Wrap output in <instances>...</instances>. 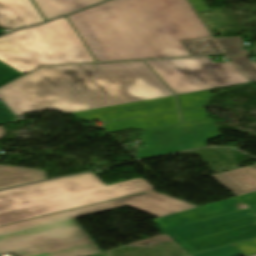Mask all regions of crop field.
<instances>
[{
  "label": "crop field",
  "mask_w": 256,
  "mask_h": 256,
  "mask_svg": "<svg viewBox=\"0 0 256 256\" xmlns=\"http://www.w3.org/2000/svg\"><path fill=\"white\" fill-rule=\"evenodd\" d=\"M68 19L97 61L189 56L180 41L211 36L187 0H111Z\"/></svg>",
  "instance_id": "crop-field-1"
},
{
  "label": "crop field",
  "mask_w": 256,
  "mask_h": 256,
  "mask_svg": "<svg viewBox=\"0 0 256 256\" xmlns=\"http://www.w3.org/2000/svg\"><path fill=\"white\" fill-rule=\"evenodd\" d=\"M174 95L143 62L43 67L0 89L16 116L64 113Z\"/></svg>",
  "instance_id": "crop-field-2"
},
{
  "label": "crop field",
  "mask_w": 256,
  "mask_h": 256,
  "mask_svg": "<svg viewBox=\"0 0 256 256\" xmlns=\"http://www.w3.org/2000/svg\"><path fill=\"white\" fill-rule=\"evenodd\" d=\"M129 206L164 217L197 206L154 191L0 227V255L86 256L100 252L74 218Z\"/></svg>",
  "instance_id": "crop-field-3"
},
{
  "label": "crop field",
  "mask_w": 256,
  "mask_h": 256,
  "mask_svg": "<svg viewBox=\"0 0 256 256\" xmlns=\"http://www.w3.org/2000/svg\"><path fill=\"white\" fill-rule=\"evenodd\" d=\"M146 182L105 186L89 172L0 191V226L153 190Z\"/></svg>",
  "instance_id": "crop-field-4"
},
{
  "label": "crop field",
  "mask_w": 256,
  "mask_h": 256,
  "mask_svg": "<svg viewBox=\"0 0 256 256\" xmlns=\"http://www.w3.org/2000/svg\"><path fill=\"white\" fill-rule=\"evenodd\" d=\"M0 60L24 74L46 64L94 62L65 17L0 37Z\"/></svg>",
  "instance_id": "crop-field-5"
},
{
  "label": "crop field",
  "mask_w": 256,
  "mask_h": 256,
  "mask_svg": "<svg viewBox=\"0 0 256 256\" xmlns=\"http://www.w3.org/2000/svg\"><path fill=\"white\" fill-rule=\"evenodd\" d=\"M146 62L176 94L249 82L232 62L214 63L208 57Z\"/></svg>",
  "instance_id": "crop-field-6"
},
{
  "label": "crop field",
  "mask_w": 256,
  "mask_h": 256,
  "mask_svg": "<svg viewBox=\"0 0 256 256\" xmlns=\"http://www.w3.org/2000/svg\"><path fill=\"white\" fill-rule=\"evenodd\" d=\"M178 109L175 96L141 101L117 106H111L102 109L89 110L83 112L71 113L81 121L101 119L102 122L176 110Z\"/></svg>",
  "instance_id": "crop-field-7"
},
{
  "label": "crop field",
  "mask_w": 256,
  "mask_h": 256,
  "mask_svg": "<svg viewBox=\"0 0 256 256\" xmlns=\"http://www.w3.org/2000/svg\"><path fill=\"white\" fill-rule=\"evenodd\" d=\"M43 21L30 0H0V27L3 29L14 30Z\"/></svg>",
  "instance_id": "crop-field-8"
},
{
  "label": "crop field",
  "mask_w": 256,
  "mask_h": 256,
  "mask_svg": "<svg viewBox=\"0 0 256 256\" xmlns=\"http://www.w3.org/2000/svg\"><path fill=\"white\" fill-rule=\"evenodd\" d=\"M183 150L206 146V141L221 134L212 119L170 127Z\"/></svg>",
  "instance_id": "crop-field-9"
},
{
  "label": "crop field",
  "mask_w": 256,
  "mask_h": 256,
  "mask_svg": "<svg viewBox=\"0 0 256 256\" xmlns=\"http://www.w3.org/2000/svg\"><path fill=\"white\" fill-rule=\"evenodd\" d=\"M182 44L188 50L190 56L202 54H225L226 56L248 54L246 50L242 49L245 45L241 36L186 40L182 41Z\"/></svg>",
  "instance_id": "crop-field-10"
},
{
  "label": "crop field",
  "mask_w": 256,
  "mask_h": 256,
  "mask_svg": "<svg viewBox=\"0 0 256 256\" xmlns=\"http://www.w3.org/2000/svg\"><path fill=\"white\" fill-rule=\"evenodd\" d=\"M143 134L140 142L148 148L136 150L138 159L182 150L169 127L146 130Z\"/></svg>",
  "instance_id": "crop-field-11"
},
{
  "label": "crop field",
  "mask_w": 256,
  "mask_h": 256,
  "mask_svg": "<svg viewBox=\"0 0 256 256\" xmlns=\"http://www.w3.org/2000/svg\"><path fill=\"white\" fill-rule=\"evenodd\" d=\"M181 123L179 111L118 121L104 124L103 128L107 133L137 129L145 130L163 126H171Z\"/></svg>",
  "instance_id": "crop-field-12"
},
{
  "label": "crop field",
  "mask_w": 256,
  "mask_h": 256,
  "mask_svg": "<svg viewBox=\"0 0 256 256\" xmlns=\"http://www.w3.org/2000/svg\"><path fill=\"white\" fill-rule=\"evenodd\" d=\"M235 196L256 190V165L213 175Z\"/></svg>",
  "instance_id": "crop-field-13"
},
{
  "label": "crop field",
  "mask_w": 256,
  "mask_h": 256,
  "mask_svg": "<svg viewBox=\"0 0 256 256\" xmlns=\"http://www.w3.org/2000/svg\"><path fill=\"white\" fill-rule=\"evenodd\" d=\"M45 179L44 171L0 165V189Z\"/></svg>",
  "instance_id": "crop-field-14"
},
{
  "label": "crop field",
  "mask_w": 256,
  "mask_h": 256,
  "mask_svg": "<svg viewBox=\"0 0 256 256\" xmlns=\"http://www.w3.org/2000/svg\"><path fill=\"white\" fill-rule=\"evenodd\" d=\"M47 20L104 0H34Z\"/></svg>",
  "instance_id": "crop-field-15"
},
{
  "label": "crop field",
  "mask_w": 256,
  "mask_h": 256,
  "mask_svg": "<svg viewBox=\"0 0 256 256\" xmlns=\"http://www.w3.org/2000/svg\"><path fill=\"white\" fill-rule=\"evenodd\" d=\"M209 96V91H198V92H192V93H186V94H180L178 95L179 103L181 109L198 106V105H204L205 101L207 100Z\"/></svg>",
  "instance_id": "crop-field-16"
},
{
  "label": "crop field",
  "mask_w": 256,
  "mask_h": 256,
  "mask_svg": "<svg viewBox=\"0 0 256 256\" xmlns=\"http://www.w3.org/2000/svg\"><path fill=\"white\" fill-rule=\"evenodd\" d=\"M249 58V56H243L229 59L250 82H253L256 81V63L250 62Z\"/></svg>",
  "instance_id": "crop-field-17"
},
{
  "label": "crop field",
  "mask_w": 256,
  "mask_h": 256,
  "mask_svg": "<svg viewBox=\"0 0 256 256\" xmlns=\"http://www.w3.org/2000/svg\"><path fill=\"white\" fill-rule=\"evenodd\" d=\"M24 74L18 72L17 70L11 68L10 66L4 64L0 61V86L22 76Z\"/></svg>",
  "instance_id": "crop-field-18"
},
{
  "label": "crop field",
  "mask_w": 256,
  "mask_h": 256,
  "mask_svg": "<svg viewBox=\"0 0 256 256\" xmlns=\"http://www.w3.org/2000/svg\"><path fill=\"white\" fill-rule=\"evenodd\" d=\"M181 113L184 123L207 118L203 107L184 110Z\"/></svg>",
  "instance_id": "crop-field-19"
},
{
  "label": "crop field",
  "mask_w": 256,
  "mask_h": 256,
  "mask_svg": "<svg viewBox=\"0 0 256 256\" xmlns=\"http://www.w3.org/2000/svg\"><path fill=\"white\" fill-rule=\"evenodd\" d=\"M13 114L0 102V124L17 122Z\"/></svg>",
  "instance_id": "crop-field-20"
},
{
  "label": "crop field",
  "mask_w": 256,
  "mask_h": 256,
  "mask_svg": "<svg viewBox=\"0 0 256 256\" xmlns=\"http://www.w3.org/2000/svg\"><path fill=\"white\" fill-rule=\"evenodd\" d=\"M189 1L193 5V7L196 9L197 12L207 10V8L205 7V5L201 0H189Z\"/></svg>",
  "instance_id": "crop-field-21"
},
{
  "label": "crop field",
  "mask_w": 256,
  "mask_h": 256,
  "mask_svg": "<svg viewBox=\"0 0 256 256\" xmlns=\"http://www.w3.org/2000/svg\"><path fill=\"white\" fill-rule=\"evenodd\" d=\"M5 136V131L2 126H0V139Z\"/></svg>",
  "instance_id": "crop-field-22"
},
{
  "label": "crop field",
  "mask_w": 256,
  "mask_h": 256,
  "mask_svg": "<svg viewBox=\"0 0 256 256\" xmlns=\"http://www.w3.org/2000/svg\"><path fill=\"white\" fill-rule=\"evenodd\" d=\"M253 256H256V255H253Z\"/></svg>",
  "instance_id": "crop-field-23"
}]
</instances>
